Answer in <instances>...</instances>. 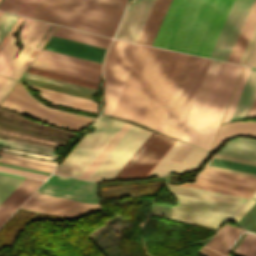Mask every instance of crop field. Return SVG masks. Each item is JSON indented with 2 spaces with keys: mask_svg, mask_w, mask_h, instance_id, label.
<instances>
[{
  "mask_svg": "<svg viewBox=\"0 0 256 256\" xmlns=\"http://www.w3.org/2000/svg\"><path fill=\"white\" fill-rule=\"evenodd\" d=\"M186 56L141 45L112 115L156 130Z\"/></svg>",
  "mask_w": 256,
  "mask_h": 256,
  "instance_id": "1",
  "label": "crop field"
},
{
  "mask_svg": "<svg viewBox=\"0 0 256 256\" xmlns=\"http://www.w3.org/2000/svg\"><path fill=\"white\" fill-rule=\"evenodd\" d=\"M233 0H171L153 46L208 57Z\"/></svg>",
  "mask_w": 256,
  "mask_h": 256,
  "instance_id": "2",
  "label": "crop field"
},
{
  "mask_svg": "<svg viewBox=\"0 0 256 256\" xmlns=\"http://www.w3.org/2000/svg\"><path fill=\"white\" fill-rule=\"evenodd\" d=\"M242 68L211 61L180 140L210 149Z\"/></svg>",
  "mask_w": 256,
  "mask_h": 256,
  "instance_id": "3",
  "label": "crop field"
},
{
  "mask_svg": "<svg viewBox=\"0 0 256 256\" xmlns=\"http://www.w3.org/2000/svg\"><path fill=\"white\" fill-rule=\"evenodd\" d=\"M0 10L108 37L124 12L82 0H4Z\"/></svg>",
  "mask_w": 256,
  "mask_h": 256,
  "instance_id": "4",
  "label": "crop field"
},
{
  "mask_svg": "<svg viewBox=\"0 0 256 256\" xmlns=\"http://www.w3.org/2000/svg\"><path fill=\"white\" fill-rule=\"evenodd\" d=\"M124 122L100 116L92 133H85L56 168L55 174L78 178Z\"/></svg>",
  "mask_w": 256,
  "mask_h": 256,
  "instance_id": "5",
  "label": "crop field"
},
{
  "mask_svg": "<svg viewBox=\"0 0 256 256\" xmlns=\"http://www.w3.org/2000/svg\"><path fill=\"white\" fill-rule=\"evenodd\" d=\"M42 25H43V22L25 18L24 25H23V27L21 29V33H20V40L24 47L20 51V53L17 55V57L14 59V61L12 62L13 58L15 57V55L18 51V48L15 46V37L12 36V38L9 40V42L6 44V46L0 52V74L1 75L16 78V79L20 78V76L23 74V72L26 70V68L29 66V64L33 61V59L39 53L40 49L44 46V44L47 42V40L49 39V37L51 36V34L54 32V30L57 27L55 25H52V27H51V24H48V23H46V25L44 23V25H45V26L43 25L44 27ZM41 26L43 27V29ZM40 27L42 30L40 29ZM39 29L41 30V32ZM48 29H49V31H48ZM37 31H38V33L40 32L38 36H37V34H38ZM45 33H46V35H45ZM34 35H35V37L37 36L36 39H35ZM42 37H43V39H42ZM31 39H32V41H31ZM33 40H34V42H33ZM39 41H40V43H39ZM28 43H29V46L32 43L31 46H33V47H36V45L39 43L37 45V48H40V49L29 47V46H27Z\"/></svg>",
  "mask_w": 256,
  "mask_h": 256,
  "instance_id": "6",
  "label": "crop field"
},
{
  "mask_svg": "<svg viewBox=\"0 0 256 256\" xmlns=\"http://www.w3.org/2000/svg\"><path fill=\"white\" fill-rule=\"evenodd\" d=\"M171 193L177 201L176 207L172 209L171 219L173 220L217 228L241 207L240 204L176 192Z\"/></svg>",
  "mask_w": 256,
  "mask_h": 256,
  "instance_id": "7",
  "label": "crop field"
},
{
  "mask_svg": "<svg viewBox=\"0 0 256 256\" xmlns=\"http://www.w3.org/2000/svg\"><path fill=\"white\" fill-rule=\"evenodd\" d=\"M139 46L113 40L103 64L104 114H112Z\"/></svg>",
  "mask_w": 256,
  "mask_h": 256,
  "instance_id": "8",
  "label": "crop field"
},
{
  "mask_svg": "<svg viewBox=\"0 0 256 256\" xmlns=\"http://www.w3.org/2000/svg\"><path fill=\"white\" fill-rule=\"evenodd\" d=\"M15 87V86H14ZM10 93V92H9ZM32 118L78 132L92 119L50 109L29 96L20 82L0 104Z\"/></svg>",
  "mask_w": 256,
  "mask_h": 256,
  "instance_id": "9",
  "label": "crop field"
},
{
  "mask_svg": "<svg viewBox=\"0 0 256 256\" xmlns=\"http://www.w3.org/2000/svg\"><path fill=\"white\" fill-rule=\"evenodd\" d=\"M175 142L152 132L115 178L147 177Z\"/></svg>",
  "mask_w": 256,
  "mask_h": 256,
  "instance_id": "10",
  "label": "crop field"
},
{
  "mask_svg": "<svg viewBox=\"0 0 256 256\" xmlns=\"http://www.w3.org/2000/svg\"><path fill=\"white\" fill-rule=\"evenodd\" d=\"M150 133L132 125L87 180L113 179Z\"/></svg>",
  "mask_w": 256,
  "mask_h": 256,
  "instance_id": "11",
  "label": "crop field"
},
{
  "mask_svg": "<svg viewBox=\"0 0 256 256\" xmlns=\"http://www.w3.org/2000/svg\"><path fill=\"white\" fill-rule=\"evenodd\" d=\"M202 58L188 55L170 97L158 131L171 135Z\"/></svg>",
  "mask_w": 256,
  "mask_h": 256,
  "instance_id": "12",
  "label": "crop field"
},
{
  "mask_svg": "<svg viewBox=\"0 0 256 256\" xmlns=\"http://www.w3.org/2000/svg\"><path fill=\"white\" fill-rule=\"evenodd\" d=\"M253 0H234L209 57L227 60Z\"/></svg>",
  "mask_w": 256,
  "mask_h": 256,
  "instance_id": "13",
  "label": "crop field"
},
{
  "mask_svg": "<svg viewBox=\"0 0 256 256\" xmlns=\"http://www.w3.org/2000/svg\"><path fill=\"white\" fill-rule=\"evenodd\" d=\"M36 192L99 205L92 182L52 175Z\"/></svg>",
  "mask_w": 256,
  "mask_h": 256,
  "instance_id": "14",
  "label": "crop field"
},
{
  "mask_svg": "<svg viewBox=\"0 0 256 256\" xmlns=\"http://www.w3.org/2000/svg\"><path fill=\"white\" fill-rule=\"evenodd\" d=\"M21 207L70 218L100 210L99 206L96 205L37 193H34Z\"/></svg>",
  "mask_w": 256,
  "mask_h": 256,
  "instance_id": "15",
  "label": "crop field"
},
{
  "mask_svg": "<svg viewBox=\"0 0 256 256\" xmlns=\"http://www.w3.org/2000/svg\"><path fill=\"white\" fill-rule=\"evenodd\" d=\"M206 153V151L177 141L148 177L170 171L190 172L196 168Z\"/></svg>",
  "mask_w": 256,
  "mask_h": 256,
  "instance_id": "16",
  "label": "crop field"
},
{
  "mask_svg": "<svg viewBox=\"0 0 256 256\" xmlns=\"http://www.w3.org/2000/svg\"><path fill=\"white\" fill-rule=\"evenodd\" d=\"M155 0H135L128 7L114 36L136 42Z\"/></svg>",
  "mask_w": 256,
  "mask_h": 256,
  "instance_id": "17",
  "label": "crop field"
},
{
  "mask_svg": "<svg viewBox=\"0 0 256 256\" xmlns=\"http://www.w3.org/2000/svg\"><path fill=\"white\" fill-rule=\"evenodd\" d=\"M32 67L92 81L98 83L100 70L44 57L38 55L31 65Z\"/></svg>",
  "mask_w": 256,
  "mask_h": 256,
  "instance_id": "18",
  "label": "crop field"
},
{
  "mask_svg": "<svg viewBox=\"0 0 256 256\" xmlns=\"http://www.w3.org/2000/svg\"><path fill=\"white\" fill-rule=\"evenodd\" d=\"M43 49L101 63L106 49L52 36ZM105 55V54H104Z\"/></svg>",
  "mask_w": 256,
  "mask_h": 256,
  "instance_id": "19",
  "label": "crop field"
},
{
  "mask_svg": "<svg viewBox=\"0 0 256 256\" xmlns=\"http://www.w3.org/2000/svg\"><path fill=\"white\" fill-rule=\"evenodd\" d=\"M42 182L41 180L26 178L0 204V222L3 223Z\"/></svg>",
  "mask_w": 256,
  "mask_h": 256,
  "instance_id": "20",
  "label": "crop field"
},
{
  "mask_svg": "<svg viewBox=\"0 0 256 256\" xmlns=\"http://www.w3.org/2000/svg\"><path fill=\"white\" fill-rule=\"evenodd\" d=\"M213 157H212V159H213ZM209 162H207L205 164L204 168L206 167V165ZM207 168L224 171V172L240 174V175L256 177V163L239 160V159H234V158H229V157H224V156H219V155L215 156L214 160L208 164Z\"/></svg>",
  "mask_w": 256,
  "mask_h": 256,
  "instance_id": "21",
  "label": "crop field"
},
{
  "mask_svg": "<svg viewBox=\"0 0 256 256\" xmlns=\"http://www.w3.org/2000/svg\"><path fill=\"white\" fill-rule=\"evenodd\" d=\"M210 61L211 60L209 59H202L197 74L188 93V96L186 98V101L184 103V106L182 108V111L180 113V116L171 135L172 137H175L177 139L179 138Z\"/></svg>",
  "mask_w": 256,
  "mask_h": 256,
  "instance_id": "22",
  "label": "crop field"
},
{
  "mask_svg": "<svg viewBox=\"0 0 256 256\" xmlns=\"http://www.w3.org/2000/svg\"><path fill=\"white\" fill-rule=\"evenodd\" d=\"M182 185L246 198H249L252 195V193L256 190L255 188L239 186L198 177H196L195 183Z\"/></svg>",
  "mask_w": 256,
  "mask_h": 256,
  "instance_id": "23",
  "label": "crop field"
},
{
  "mask_svg": "<svg viewBox=\"0 0 256 256\" xmlns=\"http://www.w3.org/2000/svg\"><path fill=\"white\" fill-rule=\"evenodd\" d=\"M170 0H156L137 42L150 45ZM152 45V44H151Z\"/></svg>",
  "mask_w": 256,
  "mask_h": 256,
  "instance_id": "24",
  "label": "crop field"
},
{
  "mask_svg": "<svg viewBox=\"0 0 256 256\" xmlns=\"http://www.w3.org/2000/svg\"><path fill=\"white\" fill-rule=\"evenodd\" d=\"M32 87L41 91L39 95L42 98L47 99L53 103L65 105L68 107L76 108V109L87 111V112L96 113V103L92 101L50 91V90L35 87V86H32Z\"/></svg>",
  "mask_w": 256,
  "mask_h": 256,
  "instance_id": "25",
  "label": "crop field"
},
{
  "mask_svg": "<svg viewBox=\"0 0 256 256\" xmlns=\"http://www.w3.org/2000/svg\"><path fill=\"white\" fill-rule=\"evenodd\" d=\"M256 94V69L252 68L230 120L247 116Z\"/></svg>",
  "mask_w": 256,
  "mask_h": 256,
  "instance_id": "26",
  "label": "crop field"
},
{
  "mask_svg": "<svg viewBox=\"0 0 256 256\" xmlns=\"http://www.w3.org/2000/svg\"><path fill=\"white\" fill-rule=\"evenodd\" d=\"M255 23H256V0H254L252 4V7L248 13V16L244 22V25L239 33V36L235 42V45L227 61L235 62V63L238 62Z\"/></svg>",
  "mask_w": 256,
  "mask_h": 256,
  "instance_id": "27",
  "label": "crop field"
},
{
  "mask_svg": "<svg viewBox=\"0 0 256 256\" xmlns=\"http://www.w3.org/2000/svg\"><path fill=\"white\" fill-rule=\"evenodd\" d=\"M243 231L244 230L226 224L219 229L216 235L210 241H208L205 246L210 247L224 255H228L230 245Z\"/></svg>",
  "mask_w": 256,
  "mask_h": 256,
  "instance_id": "28",
  "label": "crop field"
},
{
  "mask_svg": "<svg viewBox=\"0 0 256 256\" xmlns=\"http://www.w3.org/2000/svg\"><path fill=\"white\" fill-rule=\"evenodd\" d=\"M235 134H248V135L256 136V122L247 121V122H236V123L221 125L211 149H214L224 139Z\"/></svg>",
  "mask_w": 256,
  "mask_h": 256,
  "instance_id": "29",
  "label": "crop field"
},
{
  "mask_svg": "<svg viewBox=\"0 0 256 256\" xmlns=\"http://www.w3.org/2000/svg\"><path fill=\"white\" fill-rule=\"evenodd\" d=\"M54 35L102 46V47H108L111 39L88 34V33H83L63 27H58V29L55 31Z\"/></svg>",
  "mask_w": 256,
  "mask_h": 256,
  "instance_id": "30",
  "label": "crop field"
},
{
  "mask_svg": "<svg viewBox=\"0 0 256 256\" xmlns=\"http://www.w3.org/2000/svg\"><path fill=\"white\" fill-rule=\"evenodd\" d=\"M196 176L256 188V179L203 169Z\"/></svg>",
  "mask_w": 256,
  "mask_h": 256,
  "instance_id": "31",
  "label": "crop field"
},
{
  "mask_svg": "<svg viewBox=\"0 0 256 256\" xmlns=\"http://www.w3.org/2000/svg\"><path fill=\"white\" fill-rule=\"evenodd\" d=\"M168 190L243 204L247 199L183 186L165 184Z\"/></svg>",
  "mask_w": 256,
  "mask_h": 256,
  "instance_id": "32",
  "label": "crop field"
},
{
  "mask_svg": "<svg viewBox=\"0 0 256 256\" xmlns=\"http://www.w3.org/2000/svg\"><path fill=\"white\" fill-rule=\"evenodd\" d=\"M131 124L125 123L123 127L117 132V134L111 139V141L105 146V148L99 153V155L93 160V162L87 167V169L81 174L79 179L86 180L108 152L114 147L124 133L129 129Z\"/></svg>",
  "mask_w": 256,
  "mask_h": 256,
  "instance_id": "33",
  "label": "crop field"
},
{
  "mask_svg": "<svg viewBox=\"0 0 256 256\" xmlns=\"http://www.w3.org/2000/svg\"><path fill=\"white\" fill-rule=\"evenodd\" d=\"M0 146L32 151V152H37V153L57 157V155L53 153V151L55 150L54 148L43 147V146L13 141V140L0 139Z\"/></svg>",
  "mask_w": 256,
  "mask_h": 256,
  "instance_id": "34",
  "label": "crop field"
},
{
  "mask_svg": "<svg viewBox=\"0 0 256 256\" xmlns=\"http://www.w3.org/2000/svg\"><path fill=\"white\" fill-rule=\"evenodd\" d=\"M24 177L0 173V203L24 180Z\"/></svg>",
  "mask_w": 256,
  "mask_h": 256,
  "instance_id": "35",
  "label": "crop field"
},
{
  "mask_svg": "<svg viewBox=\"0 0 256 256\" xmlns=\"http://www.w3.org/2000/svg\"><path fill=\"white\" fill-rule=\"evenodd\" d=\"M27 72H31V73H35V74H39V75H43V76L63 80V81H67V82H71V83H75V84H79V85H83V86H87V87H91V88H95V89L98 85L96 83H92V82H88V81H84V80H80V79H76V78H72V77H68V76H64V75L44 71V70H40V69H36V68H32V67H29Z\"/></svg>",
  "mask_w": 256,
  "mask_h": 256,
  "instance_id": "36",
  "label": "crop field"
},
{
  "mask_svg": "<svg viewBox=\"0 0 256 256\" xmlns=\"http://www.w3.org/2000/svg\"><path fill=\"white\" fill-rule=\"evenodd\" d=\"M234 253L239 256H256V235L248 233Z\"/></svg>",
  "mask_w": 256,
  "mask_h": 256,
  "instance_id": "37",
  "label": "crop field"
},
{
  "mask_svg": "<svg viewBox=\"0 0 256 256\" xmlns=\"http://www.w3.org/2000/svg\"><path fill=\"white\" fill-rule=\"evenodd\" d=\"M250 69L251 68H248V67L244 68L243 73H242V75L240 77V80L238 82V85L236 87V90H235L234 95H233V97L231 99V102L229 104V107L227 109V112H226V114L224 116V119H223L222 123H224V122H226V121H228L230 119L231 114H232V112L234 110V107H235L236 102H237V100L239 98V95H240L241 90H242V88L244 86V83L246 81V78H247V76L249 74Z\"/></svg>",
  "mask_w": 256,
  "mask_h": 256,
  "instance_id": "38",
  "label": "crop field"
},
{
  "mask_svg": "<svg viewBox=\"0 0 256 256\" xmlns=\"http://www.w3.org/2000/svg\"><path fill=\"white\" fill-rule=\"evenodd\" d=\"M24 76L29 77V78H33V79H37V80H41V81H45V82H49V83H53V84H57V85H61V86H65V87H69V88H73V89H77V90H81V91H85V92H89V93H93V94H95V92H96L95 89H91V88H87V87H83V86H79V85L59 81V80H55V79H51V78H47V77H43V76L31 74V73H27V72H25Z\"/></svg>",
  "mask_w": 256,
  "mask_h": 256,
  "instance_id": "39",
  "label": "crop field"
},
{
  "mask_svg": "<svg viewBox=\"0 0 256 256\" xmlns=\"http://www.w3.org/2000/svg\"><path fill=\"white\" fill-rule=\"evenodd\" d=\"M40 55H44V56H48V57H52V58H56V59H60V60H64V61H68V62H72V63H76V64L101 70V65L99 64H95V63H91V62H87V61H83V60H79V59H75V58H71V57H67V56H63V55H59V54H55V53H51L43 50H41Z\"/></svg>",
  "mask_w": 256,
  "mask_h": 256,
  "instance_id": "40",
  "label": "crop field"
},
{
  "mask_svg": "<svg viewBox=\"0 0 256 256\" xmlns=\"http://www.w3.org/2000/svg\"><path fill=\"white\" fill-rule=\"evenodd\" d=\"M0 162L13 164V165H17V166H22V167H26V168H31V169H35V170L45 171V172H49V173H51L53 170V168L30 164V163H26V162H22V161H18V160L6 159V158H0Z\"/></svg>",
  "mask_w": 256,
  "mask_h": 256,
  "instance_id": "41",
  "label": "crop field"
},
{
  "mask_svg": "<svg viewBox=\"0 0 256 256\" xmlns=\"http://www.w3.org/2000/svg\"><path fill=\"white\" fill-rule=\"evenodd\" d=\"M18 18V15L10 13L7 14L4 21L0 24V42L2 41V39L5 37L7 32L10 30V28L13 26V24L16 22Z\"/></svg>",
  "mask_w": 256,
  "mask_h": 256,
  "instance_id": "42",
  "label": "crop field"
},
{
  "mask_svg": "<svg viewBox=\"0 0 256 256\" xmlns=\"http://www.w3.org/2000/svg\"><path fill=\"white\" fill-rule=\"evenodd\" d=\"M0 156L18 159V160H22V161H26V162H30V163L44 164V165H48V166H52V167H55V165H56V163H54V162L40 161V160H36V159H31V158H27V157H22V156L12 155V154L2 153V152H0Z\"/></svg>",
  "mask_w": 256,
  "mask_h": 256,
  "instance_id": "43",
  "label": "crop field"
},
{
  "mask_svg": "<svg viewBox=\"0 0 256 256\" xmlns=\"http://www.w3.org/2000/svg\"><path fill=\"white\" fill-rule=\"evenodd\" d=\"M86 1L124 10L127 0H86Z\"/></svg>",
  "mask_w": 256,
  "mask_h": 256,
  "instance_id": "44",
  "label": "crop field"
},
{
  "mask_svg": "<svg viewBox=\"0 0 256 256\" xmlns=\"http://www.w3.org/2000/svg\"><path fill=\"white\" fill-rule=\"evenodd\" d=\"M255 37H256V25H255V27H254V29L252 31V34H251V36H250V38H249V40L247 42V45H246V47H245V49L243 51V54H242V56H241V58H240L238 63L244 64V62H245V60L247 58V55H248V53L250 51V48H251V46L253 44V41H254Z\"/></svg>",
  "mask_w": 256,
  "mask_h": 256,
  "instance_id": "45",
  "label": "crop field"
},
{
  "mask_svg": "<svg viewBox=\"0 0 256 256\" xmlns=\"http://www.w3.org/2000/svg\"><path fill=\"white\" fill-rule=\"evenodd\" d=\"M0 170L7 171V172H12V173H17V174H22V175H27V176H32V177H37V178H42V179H46L48 177L47 175H42V174H37V173H32V172H27V171L2 167V166H0Z\"/></svg>",
  "mask_w": 256,
  "mask_h": 256,
  "instance_id": "46",
  "label": "crop field"
},
{
  "mask_svg": "<svg viewBox=\"0 0 256 256\" xmlns=\"http://www.w3.org/2000/svg\"><path fill=\"white\" fill-rule=\"evenodd\" d=\"M255 202H256V200L249 199V200L241 207V209L232 217V220H234V221L237 222Z\"/></svg>",
  "mask_w": 256,
  "mask_h": 256,
  "instance_id": "47",
  "label": "crop field"
},
{
  "mask_svg": "<svg viewBox=\"0 0 256 256\" xmlns=\"http://www.w3.org/2000/svg\"><path fill=\"white\" fill-rule=\"evenodd\" d=\"M0 151L8 152V153H13V154H18V155H24V156H30V157H37V158H42L44 160H51L53 161V157H47V156H42V155H37V154H31V153H26V152H21V151H15V150H10V149H5L0 147Z\"/></svg>",
  "mask_w": 256,
  "mask_h": 256,
  "instance_id": "48",
  "label": "crop field"
},
{
  "mask_svg": "<svg viewBox=\"0 0 256 256\" xmlns=\"http://www.w3.org/2000/svg\"><path fill=\"white\" fill-rule=\"evenodd\" d=\"M17 81L8 79L0 89V101L6 96Z\"/></svg>",
  "mask_w": 256,
  "mask_h": 256,
  "instance_id": "49",
  "label": "crop field"
},
{
  "mask_svg": "<svg viewBox=\"0 0 256 256\" xmlns=\"http://www.w3.org/2000/svg\"><path fill=\"white\" fill-rule=\"evenodd\" d=\"M24 20V17L20 16V18L17 20L15 25L12 27V29L9 31L7 36L4 38V40L0 43V51L4 47V45L7 43V41L10 39L12 34L15 32V30L18 28V26L21 24V22Z\"/></svg>",
  "mask_w": 256,
  "mask_h": 256,
  "instance_id": "50",
  "label": "crop field"
},
{
  "mask_svg": "<svg viewBox=\"0 0 256 256\" xmlns=\"http://www.w3.org/2000/svg\"><path fill=\"white\" fill-rule=\"evenodd\" d=\"M248 66H256V41L252 47L251 53L249 55L248 61L246 63Z\"/></svg>",
  "mask_w": 256,
  "mask_h": 256,
  "instance_id": "51",
  "label": "crop field"
},
{
  "mask_svg": "<svg viewBox=\"0 0 256 256\" xmlns=\"http://www.w3.org/2000/svg\"><path fill=\"white\" fill-rule=\"evenodd\" d=\"M231 141L256 145V139L245 138V137H236L234 139H231Z\"/></svg>",
  "mask_w": 256,
  "mask_h": 256,
  "instance_id": "52",
  "label": "crop field"
},
{
  "mask_svg": "<svg viewBox=\"0 0 256 256\" xmlns=\"http://www.w3.org/2000/svg\"><path fill=\"white\" fill-rule=\"evenodd\" d=\"M198 252H200L201 254H203L204 256H221L205 247L201 248Z\"/></svg>",
  "mask_w": 256,
  "mask_h": 256,
  "instance_id": "53",
  "label": "crop field"
},
{
  "mask_svg": "<svg viewBox=\"0 0 256 256\" xmlns=\"http://www.w3.org/2000/svg\"><path fill=\"white\" fill-rule=\"evenodd\" d=\"M247 117H256V96Z\"/></svg>",
  "mask_w": 256,
  "mask_h": 256,
  "instance_id": "54",
  "label": "crop field"
},
{
  "mask_svg": "<svg viewBox=\"0 0 256 256\" xmlns=\"http://www.w3.org/2000/svg\"><path fill=\"white\" fill-rule=\"evenodd\" d=\"M0 165L49 175V173L35 171V170L26 169V168H22V167H17V166H13V165H8V164H3V163H0Z\"/></svg>",
  "mask_w": 256,
  "mask_h": 256,
  "instance_id": "55",
  "label": "crop field"
},
{
  "mask_svg": "<svg viewBox=\"0 0 256 256\" xmlns=\"http://www.w3.org/2000/svg\"><path fill=\"white\" fill-rule=\"evenodd\" d=\"M6 80H7V78L0 76V87L5 83Z\"/></svg>",
  "mask_w": 256,
  "mask_h": 256,
  "instance_id": "56",
  "label": "crop field"
},
{
  "mask_svg": "<svg viewBox=\"0 0 256 256\" xmlns=\"http://www.w3.org/2000/svg\"><path fill=\"white\" fill-rule=\"evenodd\" d=\"M5 15H6V13L3 12L2 16L0 17V23H1V21L4 19Z\"/></svg>",
  "mask_w": 256,
  "mask_h": 256,
  "instance_id": "57",
  "label": "crop field"
},
{
  "mask_svg": "<svg viewBox=\"0 0 256 256\" xmlns=\"http://www.w3.org/2000/svg\"><path fill=\"white\" fill-rule=\"evenodd\" d=\"M251 232L256 233V225L253 227V229L251 230Z\"/></svg>",
  "mask_w": 256,
  "mask_h": 256,
  "instance_id": "58",
  "label": "crop field"
},
{
  "mask_svg": "<svg viewBox=\"0 0 256 256\" xmlns=\"http://www.w3.org/2000/svg\"><path fill=\"white\" fill-rule=\"evenodd\" d=\"M253 198H256V193L252 196Z\"/></svg>",
  "mask_w": 256,
  "mask_h": 256,
  "instance_id": "59",
  "label": "crop field"
},
{
  "mask_svg": "<svg viewBox=\"0 0 256 256\" xmlns=\"http://www.w3.org/2000/svg\"><path fill=\"white\" fill-rule=\"evenodd\" d=\"M2 14V12H0V15Z\"/></svg>",
  "mask_w": 256,
  "mask_h": 256,
  "instance_id": "60",
  "label": "crop field"
}]
</instances>
